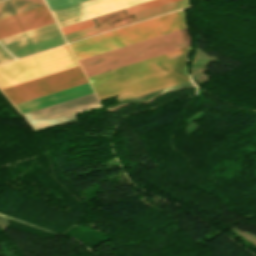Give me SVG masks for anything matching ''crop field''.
<instances>
[{"label":"crop field","instance_id":"1","mask_svg":"<svg viewBox=\"0 0 256 256\" xmlns=\"http://www.w3.org/2000/svg\"><path fill=\"white\" fill-rule=\"evenodd\" d=\"M78 66L68 45L0 65V89ZM80 66L2 89L13 104L86 83Z\"/></svg>","mask_w":256,"mask_h":256},{"label":"crop field","instance_id":"14","mask_svg":"<svg viewBox=\"0 0 256 256\" xmlns=\"http://www.w3.org/2000/svg\"><path fill=\"white\" fill-rule=\"evenodd\" d=\"M13 58L0 46V63L12 60Z\"/></svg>","mask_w":256,"mask_h":256},{"label":"crop field","instance_id":"7","mask_svg":"<svg viewBox=\"0 0 256 256\" xmlns=\"http://www.w3.org/2000/svg\"><path fill=\"white\" fill-rule=\"evenodd\" d=\"M148 0H91L52 12L59 28L123 9Z\"/></svg>","mask_w":256,"mask_h":256},{"label":"crop field","instance_id":"10","mask_svg":"<svg viewBox=\"0 0 256 256\" xmlns=\"http://www.w3.org/2000/svg\"><path fill=\"white\" fill-rule=\"evenodd\" d=\"M88 93H92L91 88L89 87L88 83L87 84H83L77 87H73L64 91H60L45 97H41L29 102H25L22 104H19V106L25 111H31L37 108H41L44 106H48L54 103H58L61 101H65L71 98H75L78 96H82ZM15 106L18 108V110L24 114L25 112L17 105L15 104Z\"/></svg>","mask_w":256,"mask_h":256},{"label":"crop field","instance_id":"6","mask_svg":"<svg viewBox=\"0 0 256 256\" xmlns=\"http://www.w3.org/2000/svg\"><path fill=\"white\" fill-rule=\"evenodd\" d=\"M95 93L24 114L35 129L75 119L77 113L100 108Z\"/></svg>","mask_w":256,"mask_h":256},{"label":"crop field","instance_id":"9","mask_svg":"<svg viewBox=\"0 0 256 256\" xmlns=\"http://www.w3.org/2000/svg\"><path fill=\"white\" fill-rule=\"evenodd\" d=\"M187 6H189L188 0H179V1H176V2H173V3H170V4H166V5L154 8V9H150V10H147V11H144V12H141V13L134 14L135 18L137 19L135 21H131V22L124 23V24H121V25L113 26V27L106 28V29L99 30V31H97L95 26H94V27H91V28H88V29H84V30L72 33V34L65 35V38H66L67 42L74 41V40H77V39H80V38H84V37H87V36H90V35H94V34H97V33H100V32H104V31H107V30H110V29H114V28H117V27H120V26H124V25L130 24V23H134V22H137V21H140V20H144V19H147V18H150V17H154V16H157V15L164 14V13L174 11V10H177V9H180V8H184V7H187Z\"/></svg>","mask_w":256,"mask_h":256},{"label":"crop field","instance_id":"5","mask_svg":"<svg viewBox=\"0 0 256 256\" xmlns=\"http://www.w3.org/2000/svg\"><path fill=\"white\" fill-rule=\"evenodd\" d=\"M0 43L14 56L21 57L61 44L65 40L56 23L0 39Z\"/></svg>","mask_w":256,"mask_h":256},{"label":"crop field","instance_id":"4","mask_svg":"<svg viewBox=\"0 0 256 256\" xmlns=\"http://www.w3.org/2000/svg\"><path fill=\"white\" fill-rule=\"evenodd\" d=\"M190 45L187 29L79 60L86 77Z\"/></svg>","mask_w":256,"mask_h":256},{"label":"crop field","instance_id":"13","mask_svg":"<svg viewBox=\"0 0 256 256\" xmlns=\"http://www.w3.org/2000/svg\"><path fill=\"white\" fill-rule=\"evenodd\" d=\"M50 11L59 10L88 0H45Z\"/></svg>","mask_w":256,"mask_h":256},{"label":"crop field","instance_id":"2","mask_svg":"<svg viewBox=\"0 0 256 256\" xmlns=\"http://www.w3.org/2000/svg\"><path fill=\"white\" fill-rule=\"evenodd\" d=\"M190 46L88 77L99 101L125 100L189 81L186 59Z\"/></svg>","mask_w":256,"mask_h":256},{"label":"crop field","instance_id":"11","mask_svg":"<svg viewBox=\"0 0 256 256\" xmlns=\"http://www.w3.org/2000/svg\"><path fill=\"white\" fill-rule=\"evenodd\" d=\"M173 1H176V0H152L149 2H145V3L139 4V5L133 6V7L126 8V11H127L128 15H130L133 13H137V12L147 10V9H150V8H153L156 6H160V5H163V4H166L169 2H173ZM93 25H94V23H93L92 19H90V20H87V21H84L81 23H77V24H74V25H71L68 27L61 28V31H62L63 35H65V34H68V33H71V32L77 31V30H81V29H84V28H87V27H90Z\"/></svg>","mask_w":256,"mask_h":256},{"label":"crop field","instance_id":"3","mask_svg":"<svg viewBox=\"0 0 256 256\" xmlns=\"http://www.w3.org/2000/svg\"><path fill=\"white\" fill-rule=\"evenodd\" d=\"M185 27L184 14L175 11L69 45L79 60Z\"/></svg>","mask_w":256,"mask_h":256},{"label":"crop field","instance_id":"8","mask_svg":"<svg viewBox=\"0 0 256 256\" xmlns=\"http://www.w3.org/2000/svg\"><path fill=\"white\" fill-rule=\"evenodd\" d=\"M46 7V5H44ZM43 7V6H41ZM40 8V7H38ZM36 9V8H34ZM47 9V7H46ZM33 10V9H31ZM30 11V10H28ZM48 11V9H47ZM26 12V11H25ZM23 13V12H22ZM49 13V11H48ZM20 14V13H18ZM17 15V14H15ZM53 23L54 20L49 13ZM13 16V15H12ZM10 17V16H9ZM7 18V17H6ZM4 19V18H2ZM51 23V20L45 10V8L36 9L30 12H26L17 16H13L4 20H0V38L8 36L14 33H18L24 30H28L34 27H38L44 24Z\"/></svg>","mask_w":256,"mask_h":256},{"label":"crop field","instance_id":"12","mask_svg":"<svg viewBox=\"0 0 256 256\" xmlns=\"http://www.w3.org/2000/svg\"><path fill=\"white\" fill-rule=\"evenodd\" d=\"M43 0H5L0 2V18L44 5Z\"/></svg>","mask_w":256,"mask_h":256}]
</instances>
